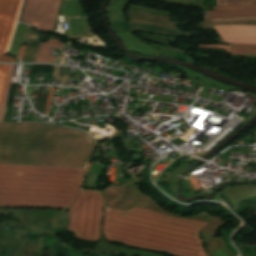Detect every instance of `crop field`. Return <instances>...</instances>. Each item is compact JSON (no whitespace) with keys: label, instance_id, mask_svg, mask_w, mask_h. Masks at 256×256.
Segmentation results:
<instances>
[{"label":"crop field","instance_id":"crop-field-15","mask_svg":"<svg viewBox=\"0 0 256 256\" xmlns=\"http://www.w3.org/2000/svg\"><path fill=\"white\" fill-rule=\"evenodd\" d=\"M230 45H232V49L256 50V45H250V44H230Z\"/></svg>","mask_w":256,"mask_h":256},{"label":"crop field","instance_id":"crop-field-3","mask_svg":"<svg viewBox=\"0 0 256 256\" xmlns=\"http://www.w3.org/2000/svg\"><path fill=\"white\" fill-rule=\"evenodd\" d=\"M84 169L0 165V206L68 208Z\"/></svg>","mask_w":256,"mask_h":256},{"label":"crop field","instance_id":"crop-field-10","mask_svg":"<svg viewBox=\"0 0 256 256\" xmlns=\"http://www.w3.org/2000/svg\"><path fill=\"white\" fill-rule=\"evenodd\" d=\"M13 67H14V65H9L8 72H7L6 82H5L1 106H0V122H2V120H3V115H4L9 85H10V81H11V77H12Z\"/></svg>","mask_w":256,"mask_h":256},{"label":"crop field","instance_id":"crop-field-12","mask_svg":"<svg viewBox=\"0 0 256 256\" xmlns=\"http://www.w3.org/2000/svg\"><path fill=\"white\" fill-rule=\"evenodd\" d=\"M250 3H256V0H217L218 5L250 4Z\"/></svg>","mask_w":256,"mask_h":256},{"label":"crop field","instance_id":"crop-field-11","mask_svg":"<svg viewBox=\"0 0 256 256\" xmlns=\"http://www.w3.org/2000/svg\"><path fill=\"white\" fill-rule=\"evenodd\" d=\"M38 46H27L22 62H33Z\"/></svg>","mask_w":256,"mask_h":256},{"label":"crop field","instance_id":"crop-field-20","mask_svg":"<svg viewBox=\"0 0 256 256\" xmlns=\"http://www.w3.org/2000/svg\"><path fill=\"white\" fill-rule=\"evenodd\" d=\"M33 86H27L26 93H31Z\"/></svg>","mask_w":256,"mask_h":256},{"label":"crop field","instance_id":"crop-field-13","mask_svg":"<svg viewBox=\"0 0 256 256\" xmlns=\"http://www.w3.org/2000/svg\"><path fill=\"white\" fill-rule=\"evenodd\" d=\"M7 67H8V65L0 64V100H1V96H2Z\"/></svg>","mask_w":256,"mask_h":256},{"label":"crop field","instance_id":"crop-field-18","mask_svg":"<svg viewBox=\"0 0 256 256\" xmlns=\"http://www.w3.org/2000/svg\"><path fill=\"white\" fill-rule=\"evenodd\" d=\"M228 53H238V54H255L256 51H227Z\"/></svg>","mask_w":256,"mask_h":256},{"label":"crop field","instance_id":"crop-field-2","mask_svg":"<svg viewBox=\"0 0 256 256\" xmlns=\"http://www.w3.org/2000/svg\"><path fill=\"white\" fill-rule=\"evenodd\" d=\"M84 132L40 123L0 124V163L83 167L94 150Z\"/></svg>","mask_w":256,"mask_h":256},{"label":"crop field","instance_id":"crop-field-1","mask_svg":"<svg viewBox=\"0 0 256 256\" xmlns=\"http://www.w3.org/2000/svg\"><path fill=\"white\" fill-rule=\"evenodd\" d=\"M205 224L137 208L119 210L106 206L103 232L109 240L136 248L173 256H207L198 235Z\"/></svg>","mask_w":256,"mask_h":256},{"label":"crop field","instance_id":"crop-field-16","mask_svg":"<svg viewBox=\"0 0 256 256\" xmlns=\"http://www.w3.org/2000/svg\"><path fill=\"white\" fill-rule=\"evenodd\" d=\"M41 36H42L41 34L36 33L33 30H31L30 28H28L27 37L25 39V42L36 40V39H41Z\"/></svg>","mask_w":256,"mask_h":256},{"label":"crop field","instance_id":"crop-field-4","mask_svg":"<svg viewBox=\"0 0 256 256\" xmlns=\"http://www.w3.org/2000/svg\"><path fill=\"white\" fill-rule=\"evenodd\" d=\"M103 209L102 195L93 191H80L76 202L69 209L68 230L77 238L97 241Z\"/></svg>","mask_w":256,"mask_h":256},{"label":"crop field","instance_id":"crop-field-19","mask_svg":"<svg viewBox=\"0 0 256 256\" xmlns=\"http://www.w3.org/2000/svg\"><path fill=\"white\" fill-rule=\"evenodd\" d=\"M25 47H26V45L21 46V47H20V49H19L18 58H19V59H21V60H22V56H23V53H24Z\"/></svg>","mask_w":256,"mask_h":256},{"label":"crop field","instance_id":"crop-field-9","mask_svg":"<svg viewBox=\"0 0 256 256\" xmlns=\"http://www.w3.org/2000/svg\"><path fill=\"white\" fill-rule=\"evenodd\" d=\"M61 44H63V43H61L53 38L46 42L41 43L38 48L34 62L54 63L55 57L49 56V54L52 50V47L60 48ZM62 47H61V49H62ZM57 48H54V49L59 50Z\"/></svg>","mask_w":256,"mask_h":256},{"label":"crop field","instance_id":"crop-field-14","mask_svg":"<svg viewBox=\"0 0 256 256\" xmlns=\"http://www.w3.org/2000/svg\"><path fill=\"white\" fill-rule=\"evenodd\" d=\"M241 21H256V18H241V19H229V20H208V19H204V22H241Z\"/></svg>","mask_w":256,"mask_h":256},{"label":"crop field","instance_id":"crop-field-8","mask_svg":"<svg viewBox=\"0 0 256 256\" xmlns=\"http://www.w3.org/2000/svg\"><path fill=\"white\" fill-rule=\"evenodd\" d=\"M217 32L229 43L256 44V28L217 26Z\"/></svg>","mask_w":256,"mask_h":256},{"label":"crop field","instance_id":"crop-field-5","mask_svg":"<svg viewBox=\"0 0 256 256\" xmlns=\"http://www.w3.org/2000/svg\"><path fill=\"white\" fill-rule=\"evenodd\" d=\"M60 0H27L21 22L52 30Z\"/></svg>","mask_w":256,"mask_h":256},{"label":"crop field","instance_id":"crop-field-7","mask_svg":"<svg viewBox=\"0 0 256 256\" xmlns=\"http://www.w3.org/2000/svg\"><path fill=\"white\" fill-rule=\"evenodd\" d=\"M214 11H204V18L227 19L256 17V5L212 7Z\"/></svg>","mask_w":256,"mask_h":256},{"label":"crop field","instance_id":"crop-field-17","mask_svg":"<svg viewBox=\"0 0 256 256\" xmlns=\"http://www.w3.org/2000/svg\"><path fill=\"white\" fill-rule=\"evenodd\" d=\"M53 89L52 87H50V91H49V96H48V100H47V107H46V112H45V115L48 116V113H49V106H50V101H51V96H52V93H53Z\"/></svg>","mask_w":256,"mask_h":256},{"label":"crop field","instance_id":"crop-field-6","mask_svg":"<svg viewBox=\"0 0 256 256\" xmlns=\"http://www.w3.org/2000/svg\"><path fill=\"white\" fill-rule=\"evenodd\" d=\"M21 3L22 0H0V55L8 54L7 49L12 39ZM11 58L0 56V61L16 62Z\"/></svg>","mask_w":256,"mask_h":256}]
</instances>
